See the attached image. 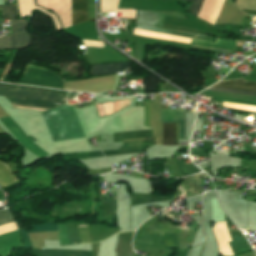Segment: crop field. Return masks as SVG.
I'll list each match as a JSON object with an SVG mask.
<instances>
[{
	"mask_svg": "<svg viewBox=\"0 0 256 256\" xmlns=\"http://www.w3.org/2000/svg\"><path fill=\"white\" fill-rule=\"evenodd\" d=\"M0 95L6 96L12 105L51 109L58 107L53 105L54 102L62 104V99L65 97L66 92L0 83Z\"/></svg>",
	"mask_w": 256,
	"mask_h": 256,
	"instance_id": "obj_1",
	"label": "crop field"
},
{
	"mask_svg": "<svg viewBox=\"0 0 256 256\" xmlns=\"http://www.w3.org/2000/svg\"><path fill=\"white\" fill-rule=\"evenodd\" d=\"M42 114L53 141L85 137L73 107L63 105Z\"/></svg>",
	"mask_w": 256,
	"mask_h": 256,
	"instance_id": "obj_2",
	"label": "crop field"
},
{
	"mask_svg": "<svg viewBox=\"0 0 256 256\" xmlns=\"http://www.w3.org/2000/svg\"><path fill=\"white\" fill-rule=\"evenodd\" d=\"M163 16H170V17H180L185 18L183 15L179 13H171V12H149V11H139L137 10L136 14V21L135 26L137 28H142L146 30L164 32L174 35H180L190 38H195L203 41H210L213 42L214 38L210 36L198 35L193 33H184L178 32L173 30L163 29Z\"/></svg>",
	"mask_w": 256,
	"mask_h": 256,
	"instance_id": "obj_3",
	"label": "crop field"
},
{
	"mask_svg": "<svg viewBox=\"0 0 256 256\" xmlns=\"http://www.w3.org/2000/svg\"><path fill=\"white\" fill-rule=\"evenodd\" d=\"M26 70L45 69H41L39 67L34 66L33 64H29ZM18 83L63 89L61 78L50 71H25L24 76Z\"/></svg>",
	"mask_w": 256,
	"mask_h": 256,
	"instance_id": "obj_4",
	"label": "crop field"
},
{
	"mask_svg": "<svg viewBox=\"0 0 256 256\" xmlns=\"http://www.w3.org/2000/svg\"><path fill=\"white\" fill-rule=\"evenodd\" d=\"M11 32L16 48H26L30 45L31 38L26 32L28 23L26 20H10ZM12 35L0 37V49H14Z\"/></svg>",
	"mask_w": 256,
	"mask_h": 256,
	"instance_id": "obj_5",
	"label": "crop field"
},
{
	"mask_svg": "<svg viewBox=\"0 0 256 256\" xmlns=\"http://www.w3.org/2000/svg\"><path fill=\"white\" fill-rule=\"evenodd\" d=\"M95 0H72L73 25L95 19Z\"/></svg>",
	"mask_w": 256,
	"mask_h": 256,
	"instance_id": "obj_6",
	"label": "crop field"
},
{
	"mask_svg": "<svg viewBox=\"0 0 256 256\" xmlns=\"http://www.w3.org/2000/svg\"><path fill=\"white\" fill-rule=\"evenodd\" d=\"M214 86L215 87H221V88H227V89L245 90V91L256 92V83H247L242 79L219 82L218 84H216ZM215 87H211L208 90L225 92V93L244 94V95L256 96V93H253V92L227 90V89H221V88H215Z\"/></svg>",
	"mask_w": 256,
	"mask_h": 256,
	"instance_id": "obj_7",
	"label": "crop field"
},
{
	"mask_svg": "<svg viewBox=\"0 0 256 256\" xmlns=\"http://www.w3.org/2000/svg\"><path fill=\"white\" fill-rule=\"evenodd\" d=\"M185 111L186 110H161L162 123L180 122L179 139L185 137Z\"/></svg>",
	"mask_w": 256,
	"mask_h": 256,
	"instance_id": "obj_8",
	"label": "crop field"
},
{
	"mask_svg": "<svg viewBox=\"0 0 256 256\" xmlns=\"http://www.w3.org/2000/svg\"><path fill=\"white\" fill-rule=\"evenodd\" d=\"M131 100L132 99L108 104L111 109L112 114H115V113L121 111L122 109L130 106ZM108 105L105 104V105L95 106L100 118L112 116Z\"/></svg>",
	"mask_w": 256,
	"mask_h": 256,
	"instance_id": "obj_9",
	"label": "crop field"
},
{
	"mask_svg": "<svg viewBox=\"0 0 256 256\" xmlns=\"http://www.w3.org/2000/svg\"><path fill=\"white\" fill-rule=\"evenodd\" d=\"M129 63L130 62H128V63L92 65L91 70H90V74L91 75H99V74L119 72V71L127 69L129 67Z\"/></svg>",
	"mask_w": 256,
	"mask_h": 256,
	"instance_id": "obj_10",
	"label": "crop field"
},
{
	"mask_svg": "<svg viewBox=\"0 0 256 256\" xmlns=\"http://www.w3.org/2000/svg\"><path fill=\"white\" fill-rule=\"evenodd\" d=\"M178 131L179 123L163 124V145H180Z\"/></svg>",
	"mask_w": 256,
	"mask_h": 256,
	"instance_id": "obj_11",
	"label": "crop field"
},
{
	"mask_svg": "<svg viewBox=\"0 0 256 256\" xmlns=\"http://www.w3.org/2000/svg\"><path fill=\"white\" fill-rule=\"evenodd\" d=\"M33 256H90L91 251L77 250H32Z\"/></svg>",
	"mask_w": 256,
	"mask_h": 256,
	"instance_id": "obj_12",
	"label": "crop field"
},
{
	"mask_svg": "<svg viewBox=\"0 0 256 256\" xmlns=\"http://www.w3.org/2000/svg\"><path fill=\"white\" fill-rule=\"evenodd\" d=\"M152 141H131V142H124V146L118 150V152H128V151H138L144 150L145 147H151Z\"/></svg>",
	"mask_w": 256,
	"mask_h": 256,
	"instance_id": "obj_13",
	"label": "crop field"
},
{
	"mask_svg": "<svg viewBox=\"0 0 256 256\" xmlns=\"http://www.w3.org/2000/svg\"><path fill=\"white\" fill-rule=\"evenodd\" d=\"M18 181V179L11 174L10 170L8 169L7 165L0 162V184L5 187L9 184Z\"/></svg>",
	"mask_w": 256,
	"mask_h": 256,
	"instance_id": "obj_14",
	"label": "crop field"
},
{
	"mask_svg": "<svg viewBox=\"0 0 256 256\" xmlns=\"http://www.w3.org/2000/svg\"><path fill=\"white\" fill-rule=\"evenodd\" d=\"M119 0H101L100 13L116 11Z\"/></svg>",
	"mask_w": 256,
	"mask_h": 256,
	"instance_id": "obj_15",
	"label": "crop field"
},
{
	"mask_svg": "<svg viewBox=\"0 0 256 256\" xmlns=\"http://www.w3.org/2000/svg\"><path fill=\"white\" fill-rule=\"evenodd\" d=\"M3 18L15 19L16 8L15 5L1 6Z\"/></svg>",
	"mask_w": 256,
	"mask_h": 256,
	"instance_id": "obj_16",
	"label": "crop field"
},
{
	"mask_svg": "<svg viewBox=\"0 0 256 256\" xmlns=\"http://www.w3.org/2000/svg\"><path fill=\"white\" fill-rule=\"evenodd\" d=\"M35 230H31L29 232H37V231H56L58 230L57 224L47 223L42 225H32Z\"/></svg>",
	"mask_w": 256,
	"mask_h": 256,
	"instance_id": "obj_17",
	"label": "crop field"
},
{
	"mask_svg": "<svg viewBox=\"0 0 256 256\" xmlns=\"http://www.w3.org/2000/svg\"><path fill=\"white\" fill-rule=\"evenodd\" d=\"M13 217L9 209L0 211V225L13 222Z\"/></svg>",
	"mask_w": 256,
	"mask_h": 256,
	"instance_id": "obj_18",
	"label": "crop field"
},
{
	"mask_svg": "<svg viewBox=\"0 0 256 256\" xmlns=\"http://www.w3.org/2000/svg\"><path fill=\"white\" fill-rule=\"evenodd\" d=\"M183 1L191 2L192 0H183ZM203 1L204 0H193V4L188 12L197 16L200 11Z\"/></svg>",
	"mask_w": 256,
	"mask_h": 256,
	"instance_id": "obj_19",
	"label": "crop field"
},
{
	"mask_svg": "<svg viewBox=\"0 0 256 256\" xmlns=\"http://www.w3.org/2000/svg\"><path fill=\"white\" fill-rule=\"evenodd\" d=\"M192 49H198V50H204V51H211V50H215V51H221V52H226V53H230V54H235L236 51H231V50H222V49H213V48H206V47H202V46H195V45H191Z\"/></svg>",
	"mask_w": 256,
	"mask_h": 256,
	"instance_id": "obj_20",
	"label": "crop field"
},
{
	"mask_svg": "<svg viewBox=\"0 0 256 256\" xmlns=\"http://www.w3.org/2000/svg\"><path fill=\"white\" fill-rule=\"evenodd\" d=\"M16 1V6H17V15H20L19 14V8H18V1L17 0H15ZM34 2H35V9L34 10H38L37 9V2H36V0H34ZM45 9V8H44ZM34 10H32V11H34ZM47 10V9H46ZM32 11H31V18L30 17H28V16H24L23 18H25V17H28L29 19H32ZM39 11V10H38ZM40 12V11H39ZM42 13V12H41ZM53 13H55V12H53ZM56 14V13H55ZM56 16H57V14H56ZM57 18H58V20H59V22H60V19H59V17L57 16ZM19 19H21V15H20V18ZM51 19V21H52V23H53V25H54V27H55V29L57 30V28H56V26H55V24H54V22H53V20H52V18H50ZM60 25H61V27H62V24H61V22H60ZM62 29H63V27H62ZM62 29H60V30H62Z\"/></svg>",
	"mask_w": 256,
	"mask_h": 256,
	"instance_id": "obj_21",
	"label": "crop field"
},
{
	"mask_svg": "<svg viewBox=\"0 0 256 256\" xmlns=\"http://www.w3.org/2000/svg\"><path fill=\"white\" fill-rule=\"evenodd\" d=\"M148 112H149V103H144V125L149 127Z\"/></svg>",
	"mask_w": 256,
	"mask_h": 256,
	"instance_id": "obj_22",
	"label": "crop field"
},
{
	"mask_svg": "<svg viewBox=\"0 0 256 256\" xmlns=\"http://www.w3.org/2000/svg\"><path fill=\"white\" fill-rule=\"evenodd\" d=\"M20 232H21V234H22V236L24 238V245H25V247H32V244H31V242H30V240L28 238L27 233L24 230H20Z\"/></svg>",
	"mask_w": 256,
	"mask_h": 256,
	"instance_id": "obj_23",
	"label": "crop field"
},
{
	"mask_svg": "<svg viewBox=\"0 0 256 256\" xmlns=\"http://www.w3.org/2000/svg\"><path fill=\"white\" fill-rule=\"evenodd\" d=\"M84 45H90V46H98V47H102L103 46V42H97V41H87V40H82Z\"/></svg>",
	"mask_w": 256,
	"mask_h": 256,
	"instance_id": "obj_24",
	"label": "crop field"
}]
</instances>
